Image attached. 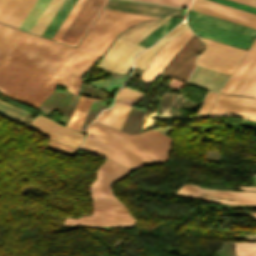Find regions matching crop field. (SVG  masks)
Instances as JSON below:
<instances>
[{
  "mask_svg": "<svg viewBox=\"0 0 256 256\" xmlns=\"http://www.w3.org/2000/svg\"><path fill=\"white\" fill-rule=\"evenodd\" d=\"M130 171L106 160L97 172V180L91 186L94 210L127 212L113 196L110 186Z\"/></svg>",
  "mask_w": 256,
  "mask_h": 256,
  "instance_id": "34b2d1b8",
  "label": "crop field"
},
{
  "mask_svg": "<svg viewBox=\"0 0 256 256\" xmlns=\"http://www.w3.org/2000/svg\"><path fill=\"white\" fill-rule=\"evenodd\" d=\"M145 48L118 38L110 47L98 68L112 73H128L132 68V57Z\"/></svg>",
  "mask_w": 256,
  "mask_h": 256,
  "instance_id": "e52e79f7",
  "label": "crop field"
},
{
  "mask_svg": "<svg viewBox=\"0 0 256 256\" xmlns=\"http://www.w3.org/2000/svg\"><path fill=\"white\" fill-rule=\"evenodd\" d=\"M192 34L193 33L187 28L182 35L167 43L144 71L142 75L143 81L150 83L158 74H160Z\"/></svg>",
  "mask_w": 256,
  "mask_h": 256,
  "instance_id": "d1516ede",
  "label": "crop field"
},
{
  "mask_svg": "<svg viewBox=\"0 0 256 256\" xmlns=\"http://www.w3.org/2000/svg\"><path fill=\"white\" fill-rule=\"evenodd\" d=\"M107 0H85L59 42L76 46Z\"/></svg>",
  "mask_w": 256,
  "mask_h": 256,
  "instance_id": "f4fd0767",
  "label": "crop field"
},
{
  "mask_svg": "<svg viewBox=\"0 0 256 256\" xmlns=\"http://www.w3.org/2000/svg\"><path fill=\"white\" fill-rule=\"evenodd\" d=\"M229 74L197 66L188 83L194 84L212 91L220 92Z\"/></svg>",
  "mask_w": 256,
  "mask_h": 256,
  "instance_id": "733c2abd",
  "label": "crop field"
},
{
  "mask_svg": "<svg viewBox=\"0 0 256 256\" xmlns=\"http://www.w3.org/2000/svg\"><path fill=\"white\" fill-rule=\"evenodd\" d=\"M242 190H256V186H246V187H240Z\"/></svg>",
  "mask_w": 256,
  "mask_h": 256,
  "instance_id": "c21b1889",
  "label": "crop field"
},
{
  "mask_svg": "<svg viewBox=\"0 0 256 256\" xmlns=\"http://www.w3.org/2000/svg\"><path fill=\"white\" fill-rule=\"evenodd\" d=\"M47 148L57 151V152H60V153H63V154H66V155H69V156H72V157L74 156V154L76 152V149L57 144L51 140H50L49 144L47 145Z\"/></svg>",
  "mask_w": 256,
  "mask_h": 256,
  "instance_id": "d32e631a",
  "label": "crop field"
},
{
  "mask_svg": "<svg viewBox=\"0 0 256 256\" xmlns=\"http://www.w3.org/2000/svg\"><path fill=\"white\" fill-rule=\"evenodd\" d=\"M36 0H9L0 13V23L18 28Z\"/></svg>",
  "mask_w": 256,
  "mask_h": 256,
  "instance_id": "4a817a6b",
  "label": "crop field"
},
{
  "mask_svg": "<svg viewBox=\"0 0 256 256\" xmlns=\"http://www.w3.org/2000/svg\"><path fill=\"white\" fill-rule=\"evenodd\" d=\"M239 256H256V247H234Z\"/></svg>",
  "mask_w": 256,
  "mask_h": 256,
  "instance_id": "e1f06a70",
  "label": "crop field"
},
{
  "mask_svg": "<svg viewBox=\"0 0 256 256\" xmlns=\"http://www.w3.org/2000/svg\"><path fill=\"white\" fill-rule=\"evenodd\" d=\"M63 1L64 0H51L41 17L31 30V33L41 36V34L45 30Z\"/></svg>",
  "mask_w": 256,
  "mask_h": 256,
  "instance_id": "730fd06b",
  "label": "crop field"
},
{
  "mask_svg": "<svg viewBox=\"0 0 256 256\" xmlns=\"http://www.w3.org/2000/svg\"><path fill=\"white\" fill-rule=\"evenodd\" d=\"M49 138L79 148L84 134L75 132L41 115L36 117L29 125Z\"/></svg>",
  "mask_w": 256,
  "mask_h": 256,
  "instance_id": "22f410ed",
  "label": "crop field"
},
{
  "mask_svg": "<svg viewBox=\"0 0 256 256\" xmlns=\"http://www.w3.org/2000/svg\"><path fill=\"white\" fill-rule=\"evenodd\" d=\"M0 114L21 122L23 119L24 115L26 114V111L21 110L19 108L13 107L11 105H8L2 101H0Z\"/></svg>",
  "mask_w": 256,
  "mask_h": 256,
  "instance_id": "bd1437ed",
  "label": "crop field"
},
{
  "mask_svg": "<svg viewBox=\"0 0 256 256\" xmlns=\"http://www.w3.org/2000/svg\"><path fill=\"white\" fill-rule=\"evenodd\" d=\"M211 1H215V2H218V3L224 4V5H228V6L237 8V9H241V10L256 14V8L250 7V6H247V5H243V4H240V3H236V2H233V1H230V0H211Z\"/></svg>",
  "mask_w": 256,
  "mask_h": 256,
  "instance_id": "5866460e",
  "label": "crop field"
},
{
  "mask_svg": "<svg viewBox=\"0 0 256 256\" xmlns=\"http://www.w3.org/2000/svg\"><path fill=\"white\" fill-rule=\"evenodd\" d=\"M187 17L256 38V30L189 10Z\"/></svg>",
  "mask_w": 256,
  "mask_h": 256,
  "instance_id": "214f88e0",
  "label": "crop field"
},
{
  "mask_svg": "<svg viewBox=\"0 0 256 256\" xmlns=\"http://www.w3.org/2000/svg\"><path fill=\"white\" fill-rule=\"evenodd\" d=\"M93 100L92 99H86V98H82L80 97L68 123L67 126L75 129V130H79L91 104H92Z\"/></svg>",
  "mask_w": 256,
  "mask_h": 256,
  "instance_id": "ae1a2a85",
  "label": "crop field"
},
{
  "mask_svg": "<svg viewBox=\"0 0 256 256\" xmlns=\"http://www.w3.org/2000/svg\"><path fill=\"white\" fill-rule=\"evenodd\" d=\"M142 1H149V2H155V3L187 7L191 0H142Z\"/></svg>",
  "mask_w": 256,
  "mask_h": 256,
  "instance_id": "028f5c9d",
  "label": "crop field"
},
{
  "mask_svg": "<svg viewBox=\"0 0 256 256\" xmlns=\"http://www.w3.org/2000/svg\"><path fill=\"white\" fill-rule=\"evenodd\" d=\"M143 96V93L123 87L116 96V102L111 111L104 110L95 121L120 130L131 108V105L125 103L136 105L142 100Z\"/></svg>",
  "mask_w": 256,
  "mask_h": 256,
  "instance_id": "5a996713",
  "label": "crop field"
},
{
  "mask_svg": "<svg viewBox=\"0 0 256 256\" xmlns=\"http://www.w3.org/2000/svg\"><path fill=\"white\" fill-rule=\"evenodd\" d=\"M49 2L50 0H37L19 26V29L30 32Z\"/></svg>",
  "mask_w": 256,
  "mask_h": 256,
  "instance_id": "d3111659",
  "label": "crop field"
},
{
  "mask_svg": "<svg viewBox=\"0 0 256 256\" xmlns=\"http://www.w3.org/2000/svg\"><path fill=\"white\" fill-rule=\"evenodd\" d=\"M7 0H0V11L3 8L4 4L6 3Z\"/></svg>",
  "mask_w": 256,
  "mask_h": 256,
  "instance_id": "b54c1fbb",
  "label": "crop field"
},
{
  "mask_svg": "<svg viewBox=\"0 0 256 256\" xmlns=\"http://www.w3.org/2000/svg\"><path fill=\"white\" fill-rule=\"evenodd\" d=\"M236 116L256 121V99L220 94L209 117Z\"/></svg>",
  "mask_w": 256,
  "mask_h": 256,
  "instance_id": "d8731c3e",
  "label": "crop field"
},
{
  "mask_svg": "<svg viewBox=\"0 0 256 256\" xmlns=\"http://www.w3.org/2000/svg\"><path fill=\"white\" fill-rule=\"evenodd\" d=\"M91 127L125 138L166 160L168 159V153H170V149L172 147L171 138H168L154 130L141 134L129 135L96 123H92Z\"/></svg>",
  "mask_w": 256,
  "mask_h": 256,
  "instance_id": "dd49c442",
  "label": "crop field"
},
{
  "mask_svg": "<svg viewBox=\"0 0 256 256\" xmlns=\"http://www.w3.org/2000/svg\"><path fill=\"white\" fill-rule=\"evenodd\" d=\"M77 0H65L63 4L61 5L60 9L42 34V37L50 38L54 36L74 4L76 3Z\"/></svg>",
  "mask_w": 256,
  "mask_h": 256,
  "instance_id": "4177f3b9",
  "label": "crop field"
},
{
  "mask_svg": "<svg viewBox=\"0 0 256 256\" xmlns=\"http://www.w3.org/2000/svg\"><path fill=\"white\" fill-rule=\"evenodd\" d=\"M255 54L256 41L254 42V44L252 45V47L250 48V50L248 51V53L246 54V56L244 57V59L242 60V62L240 63V65L238 66V68L236 69V71L234 72V74L232 75V77L230 78V80L228 81V83L226 84L221 93L230 94V92L232 91V89L234 88V86L236 85V83L238 82V80L248 67L249 63L255 56Z\"/></svg>",
  "mask_w": 256,
  "mask_h": 256,
  "instance_id": "eef30255",
  "label": "crop field"
},
{
  "mask_svg": "<svg viewBox=\"0 0 256 256\" xmlns=\"http://www.w3.org/2000/svg\"><path fill=\"white\" fill-rule=\"evenodd\" d=\"M205 49L197 59V63L212 69L231 74L245 50L200 37Z\"/></svg>",
  "mask_w": 256,
  "mask_h": 256,
  "instance_id": "412701ff",
  "label": "crop field"
},
{
  "mask_svg": "<svg viewBox=\"0 0 256 256\" xmlns=\"http://www.w3.org/2000/svg\"><path fill=\"white\" fill-rule=\"evenodd\" d=\"M233 1H237V2H240L243 4H247V5L256 7V0H233Z\"/></svg>",
  "mask_w": 256,
  "mask_h": 256,
  "instance_id": "b80d0937",
  "label": "crop field"
},
{
  "mask_svg": "<svg viewBox=\"0 0 256 256\" xmlns=\"http://www.w3.org/2000/svg\"><path fill=\"white\" fill-rule=\"evenodd\" d=\"M247 240L256 239V235H246Z\"/></svg>",
  "mask_w": 256,
  "mask_h": 256,
  "instance_id": "03da06ac",
  "label": "crop field"
},
{
  "mask_svg": "<svg viewBox=\"0 0 256 256\" xmlns=\"http://www.w3.org/2000/svg\"><path fill=\"white\" fill-rule=\"evenodd\" d=\"M187 24L199 36L247 50L254 38L230 32L187 18Z\"/></svg>",
  "mask_w": 256,
  "mask_h": 256,
  "instance_id": "28ad6ade",
  "label": "crop field"
},
{
  "mask_svg": "<svg viewBox=\"0 0 256 256\" xmlns=\"http://www.w3.org/2000/svg\"><path fill=\"white\" fill-rule=\"evenodd\" d=\"M182 20L183 19L171 17L141 42H139V44L149 47Z\"/></svg>",
  "mask_w": 256,
  "mask_h": 256,
  "instance_id": "750c4746",
  "label": "crop field"
},
{
  "mask_svg": "<svg viewBox=\"0 0 256 256\" xmlns=\"http://www.w3.org/2000/svg\"><path fill=\"white\" fill-rule=\"evenodd\" d=\"M217 96V93L209 92L206 94L204 100H203V106L199 110L198 117L206 118L212 105Z\"/></svg>",
  "mask_w": 256,
  "mask_h": 256,
  "instance_id": "1d83c4d3",
  "label": "crop field"
},
{
  "mask_svg": "<svg viewBox=\"0 0 256 256\" xmlns=\"http://www.w3.org/2000/svg\"><path fill=\"white\" fill-rule=\"evenodd\" d=\"M84 0H78L77 3L75 4V6L73 7V9L71 10V12L69 13V15L67 16V18L65 19V21L63 22V24L61 25V27L59 28V30L57 31V33L55 34V36L53 37V40L58 41V39L60 38V36L62 35V33L64 32V30L66 29V27L68 26V24L70 23V21L72 20V18L74 17L75 13L77 12V10L79 9V7L81 6V4L83 3Z\"/></svg>",
  "mask_w": 256,
  "mask_h": 256,
  "instance_id": "120bbe31",
  "label": "crop field"
},
{
  "mask_svg": "<svg viewBox=\"0 0 256 256\" xmlns=\"http://www.w3.org/2000/svg\"><path fill=\"white\" fill-rule=\"evenodd\" d=\"M64 224L76 225H98V226H115L132 228L135 223L134 219L128 213L117 212H100L94 211L92 216L81 217L80 219H66Z\"/></svg>",
  "mask_w": 256,
  "mask_h": 256,
  "instance_id": "5142ce71",
  "label": "crop field"
},
{
  "mask_svg": "<svg viewBox=\"0 0 256 256\" xmlns=\"http://www.w3.org/2000/svg\"><path fill=\"white\" fill-rule=\"evenodd\" d=\"M200 190H209V189L200 188L196 185H184L182 188H180L176 192L175 195L201 199V200H205V201H209L217 204L256 205V192H232V191L211 190V191L230 194V195H225V194H218V193H212V192H206V191H200ZM200 193L215 196V197H221V198H227V199H240L244 201L220 200V199H215L212 197L201 195Z\"/></svg>",
  "mask_w": 256,
  "mask_h": 256,
  "instance_id": "3316defc",
  "label": "crop field"
},
{
  "mask_svg": "<svg viewBox=\"0 0 256 256\" xmlns=\"http://www.w3.org/2000/svg\"><path fill=\"white\" fill-rule=\"evenodd\" d=\"M170 17H165L162 21H147L143 22L125 33L121 34L120 37L131 40L133 42L138 43L144 37H146L149 33H151L154 29L160 26L163 22H165Z\"/></svg>",
  "mask_w": 256,
  "mask_h": 256,
  "instance_id": "a9b5d70f",
  "label": "crop field"
},
{
  "mask_svg": "<svg viewBox=\"0 0 256 256\" xmlns=\"http://www.w3.org/2000/svg\"><path fill=\"white\" fill-rule=\"evenodd\" d=\"M201 43L197 37H193L179 52L175 59L165 69L164 73L187 81L191 70L194 67V57L199 51Z\"/></svg>",
  "mask_w": 256,
  "mask_h": 256,
  "instance_id": "cbeb9de0",
  "label": "crop field"
},
{
  "mask_svg": "<svg viewBox=\"0 0 256 256\" xmlns=\"http://www.w3.org/2000/svg\"><path fill=\"white\" fill-rule=\"evenodd\" d=\"M235 246H256V242L255 243L235 242Z\"/></svg>",
  "mask_w": 256,
  "mask_h": 256,
  "instance_id": "c035e120",
  "label": "crop field"
},
{
  "mask_svg": "<svg viewBox=\"0 0 256 256\" xmlns=\"http://www.w3.org/2000/svg\"><path fill=\"white\" fill-rule=\"evenodd\" d=\"M186 28H187L186 24L181 23L180 25H178L174 30H172L168 35H166L156 45L140 53L135 59V65L144 69L162 45L167 43L171 38L175 37Z\"/></svg>",
  "mask_w": 256,
  "mask_h": 256,
  "instance_id": "00972430",
  "label": "crop field"
},
{
  "mask_svg": "<svg viewBox=\"0 0 256 256\" xmlns=\"http://www.w3.org/2000/svg\"><path fill=\"white\" fill-rule=\"evenodd\" d=\"M27 34V32L0 24V61Z\"/></svg>",
  "mask_w": 256,
  "mask_h": 256,
  "instance_id": "dafd665d",
  "label": "crop field"
},
{
  "mask_svg": "<svg viewBox=\"0 0 256 256\" xmlns=\"http://www.w3.org/2000/svg\"><path fill=\"white\" fill-rule=\"evenodd\" d=\"M254 97H256V94L254 95Z\"/></svg>",
  "mask_w": 256,
  "mask_h": 256,
  "instance_id": "425ffa30",
  "label": "crop field"
},
{
  "mask_svg": "<svg viewBox=\"0 0 256 256\" xmlns=\"http://www.w3.org/2000/svg\"><path fill=\"white\" fill-rule=\"evenodd\" d=\"M148 19L158 18L103 9L76 48L28 33L0 63V91L35 108L59 84L77 94L83 76L112 40Z\"/></svg>",
  "mask_w": 256,
  "mask_h": 256,
  "instance_id": "8a807250",
  "label": "crop field"
},
{
  "mask_svg": "<svg viewBox=\"0 0 256 256\" xmlns=\"http://www.w3.org/2000/svg\"><path fill=\"white\" fill-rule=\"evenodd\" d=\"M105 8L158 18H162L165 15L172 13L173 10L175 9L173 7L160 6L128 0H109Z\"/></svg>",
  "mask_w": 256,
  "mask_h": 256,
  "instance_id": "d9b57169",
  "label": "crop field"
},
{
  "mask_svg": "<svg viewBox=\"0 0 256 256\" xmlns=\"http://www.w3.org/2000/svg\"><path fill=\"white\" fill-rule=\"evenodd\" d=\"M190 8L256 28V19L248 16L230 12L196 1H194Z\"/></svg>",
  "mask_w": 256,
  "mask_h": 256,
  "instance_id": "bc2a9ffb",
  "label": "crop field"
},
{
  "mask_svg": "<svg viewBox=\"0 0 256 256\" xmlns=\"http://www.w3.org/2000/svg\"><path fill=\"white\" fill-rule=\"evenodd\" d=\"M253 218L256 220V213H253Z\"/></svg>",
  "mask_w": 256,
  "mask_h": 256,
  "instance_id": "5d738f31",
  "label": "crop field"
},
{
  "mask_svg": "<svg viewBox=\"0 0 256 256\" xmlns=\"http://www.w3.org/2000/svg\"><path fill=\"white\" fill-rule=\"evenodd\" d=\"M196 1H200V2H203V3H207V4H210V5H213V6H217V7H220V8H224V9H227V10H231V11H234V12H237V13H241V14L248 15V16L256 18V15H254V14H250V13H247V12H244V11H241V10H237V9H234V8H231V7H228V6H224V5H221V4H218V3H214V2H211V1H208V0H196Z\"/></svg>",
  "mask_w": 256,
  "mask_h": 256,
  "instance_id": "0bd39190",
  "label": "crop field"
},
{
  "mask_svg": "<svg viewBox=\"0 0 256 256\" xmlns=\"http://www.w3.org/2000/svg\"><path fill=\"white\" fill-rule=\"evenodd\" d=\"M81 149L109 158L131 170L165 162L125 139L90 127Z\"/></svg>",
  "mask_w": 256,
  "mask_h": 256,
  "instance_id": "ac0d7876",
  "label": "crop field"
},
{
  "mask_svg": "<svg viewBox=\"0 0 256 256\" xmlns=\"http://www.w3.org/2000/svg\"><path fill=\"white\" fill-rule=\"evenodd\" d=\"M256 92V56L231 92L233 95L253 97Z\"/></svg>",
  "mask_w": 256,
  "mask_h": 256,
  "instance_id": "92a150f3",
  "label": "crop field"
},
{
  "mask_svg": "<svg viewBox=\"0 0 256 256\" xmlns=\"http://www.w3.org/2000/svg\"><path fill=\"white\" fill-rule=\"evenodd\" d=\"M252 176H253V177H256V174H253Z\"/></svg>",
  "mask_w": 256,
  "mask_h": 256,
  "instance_id": "d23c7cc5",
  "label": "crop field"
}]
</instances>
